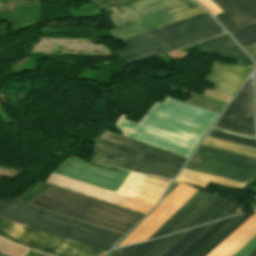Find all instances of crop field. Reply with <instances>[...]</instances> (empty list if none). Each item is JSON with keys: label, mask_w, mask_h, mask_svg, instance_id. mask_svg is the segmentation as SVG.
Returning a JSON list of instances; mask_svg holds the SVG:
<instances>
[{"label": "crop field", "mask_w": 256, "mask_h": 256, "mask_svg": "<svg viewBox=\"0 0 256 256\" xmlns=\"http://www.w3.org/2000/svg\"><path fill=\"white\" fill-rule=\"evenodd\" d=\"M47 182L147 214L153 205L51 173Z\"/></svg>", "instance_id": "28ad6ade"}, {"label": "crop field", "mask_w": 256, "mask_h": 256, "mask_svg": "<svg viewBox=\"0 0 256 256\" xmlns=\"http://www.w3.org/2000/svg\"><path fill=\"white\" fill-rule=\"evenodd\" d=\"M248 256H256V248Z\"/></svg>", "instance_id": "bd1437ed"}, {"label": "crop field", "mask_w": 256, "mask_h": 256, "mask_svg": "<svg viewBox=\"0 0 256 256\" xmlns=\"http://www.w3.org/2000/svg\"><path fill=\"white\" fill-rule=\"evenodd\" d=\"M245 48L256 42V22L232 34Z\"/></svg>", "instance_id": "dafd665d"}, {"label": "crop field", "mask_w": 256, "mask_h": 256, "mask_svg": "<svg viewBox=\"0 0 256 256\" xmlns=\"http://www.w3.org/2000/svg\"><path fill=\"white\" fill-rule=\"evenodd\" d=\"M256 223V213L251 216L244 224H242L236 231H234L227 239H225L218 247H216L207 256H218L229 245H231L238 237H240L247 229Z\"/></svg>", "instance_id": "214f88e0"}, {"label": "crop field", "mask_w": 256, "mask_h": 256, "mask_svg": "<svg viewBox=\"0 0 256 256\" xmlns=\"http://www.w3.org/2000/svg\"><path fill=\"white\" fill-rule=\"evenodd\" d=\"M163 239V238H162ZM162 239H157L142 244L117 249L110 256H143Z\"/></svg>", "instance_id": "92a150f3"}, {"label": "crop field", "mask_w": 256, "mask_h": 256, "mask_svg": "<svg viewBox=\"0 0 256 256\" xmlns=\"http://www.w3.org/2000/svg\"><path fill=\"white\" fill-rule=\"evenodd\" d=\"M211 195L198 190L150 239L175 232Z\"/></svg>", "instance_id": "cbeb9de0"}, {"label": "crop field", "mask_w": 256, "mask_h": 256, "mask_svg": "<svg viewBox=\"0 0 256 256\" xmlns=\"http://www.w3.org/2000/svg\"><path fill=\"white\" fill-rule=\"evenodd\" d=\"M185 168L245 183L256 180V159L203 146Z\"/></svg>", "instance_id": "d8731c3e"}, {"label": "crop field", "mask_w": 256, "mask_h": 256, "mask_svg": "<svg viewBox=\"0 0 256 256\" xmlns=\"http://www.w3.org/2000/svg\"><path fill=\"white\" fill-rule=\"evenodd\" d=\"M219 21L227 28V30L232 33L240 29L233 21H231L223 12L216 15Z\"/></svg>", "instance_id": "eef30255"}, {"label": "crop field", "mask_w": 256, "mask_h": 256, "mask_svg": "<svg viewBox=\"0 0 256 256\" xmlns=\"http://www.w3.org/2000/svg\"><path fill=\"white\" fill-rule=\"evenodd\" d=\"M250 216L251 215H241L232 218L214 235H212L205 243H203L196 251H194L190 256H206L211 250H213L220 242H222L229 234H231Z\"/></svg>", "instance_id": "733c2abd"}, {"label": "crop field", "mask_w": 256, "mask_h": 256, "mask_svg": "<svg viewBox=\"0 0 256 256\" xmlns=\"http://www.w3.org/2000/svg\"><path fill=\"white\" fill-rule=\"evenodd\" d=\"M230 219L217 222L180 256H189L194 250H196L203 242H205L212 234H214L220 227H222Z\"/></svg>", "instance_id": "a9b5d70f"}, {"label": "crop field", "mask_w": 256, "mask_h": 256, "mask_svg": "<svg viewBox=\"0 0 256 256\" xmlns=\"http://www.w3.org/2000/svg\"><path fill=\"white\" fill-rule=\"evenodd\" d=\"M238 206L239 204L212 195L177 231L229 216Z\"/></svg>", "instance_id": "22f410ed"}, {"label": "crop field", "mask_w": 256, "mask_h": 256, "mask_svg": "<svg viewBox=\"0 0 256 256\" xmlns=\"http://www.w3.org/2000/svg\"><path fill=\"white\" fill-rule=\"evenodd\" d=\"M196 191L180 183L119 246L149 239Z\"/></svg>", "instance_id": "5a996713"}, {"label": "crop field", "mask_w": 256, "mask_h": 256, "mask_svg": "<svg viewBox=\"0 0 256 256\" xmlns=\"http://www.w3.org/2000/svg\"><path fill=\"white\" fill-rule=\"evenodd\" d=\"M54 173L114 192L129 174L128 171L106 169L72 157L57 167ZM167 186L168 183L130 172L117 193L155 205Z\"/></svg>", "instance_id": "412701ff"}, {"label": "crop field", "mask_w": 256, "mask_h": 256, "mask_svg": "<svg viewBox=\"0 0 256 256\" xmlns=\"http://www.w3.org/2000/svg\"><path fill=\"white\" fill-rule=\"evenodd\" d=\"M43 195L78 205L99 213L136 224L144 215L97 201L70 191L52 186ZM39 196L30 204L77 218L107 229L125 234L134 224L99 214L46 196Z\"/></svg>", "instance_id": "f4fd0767"}, {"label": "crop field", "mask_w": 256, "mask_h": 256, "mask_svg": "<svg viewBox=\"0 0 256 256\" xmlns=\"http://www.w3.org/2000/svg\"><path fill=\"white\" fill-rule=\"evenodd\" d=\"M255 234H256V227L252 226L247 232H245L239 239H237L231 246H229L219 256H232L247 241H249Z\"/></svg>", "instance_id": "00972430"}, {"label": "crop field", "mask_w": 256, "mask_h": 256, "mask_svg": "<svg viewBox=\"0 0 256 256\" xmlns=\"http://www.w3.org/2000/svg\"><path fill=\"white\" fill-rule=\"evenodd\" d=\"M224 33L206 13L124 40L128 47L116 50L128 62L149 59Z\"/></svg>", "instance_id": "8a807250"}, {"label": "crop field", "mask_w": 256, "mask_h": 256, "mask_svg": "<svg viewBox=\"0 0 256 256\" xmlns=\"http://www.w3.org/2000/svg\"><path fill=\"white\" fill-rule=\"evenodd\" d=\"M240 28L256 21L255 0H211Z\"/></svg>", "instance_id": "5142ce71"}, {"label": "crop field", "mask_w": 256, "mask_h": 256, "mask_svg": "<svg viewBox=\"0 0 256 256\" xmlns=\"http://www.w3.org/2000/svg\"><path fill=\"white\" fill-rule=\"evenodd\" d=\"M252 56L253 58L256 60V43L245 48Z\"/></svg>", "instance_id": "750c4746"}, {"label": "crop field", "mask_w": 256, "mask_h": 256, "mask_svg": "<svg viewBox=\"0 0 256 256\" xmlns=\"http://www.w3.org/2000/svg\"><path fill=\"white\" fill-rule=\"evenodd\" d=\"M203 146L223 150V151H228L244 156H249L256 158V148L252 147H247L239 144H234L222 140H217L213 138L206 137L204 142L202 143Z\"/></svg>", "instance_id": "4a817a6b"}, {"label": "crop field", "mask_w": 256, "mask_h": 256, "mask_svg": "<svg viewBox=\"0 0 256 256\" xmlns=\"http://www.w3.org/2000/svg\"><path fill=\"white\" fill-rule=\"evenodd\" d=\"M93 161L172 179L186 158L106 132L96 142Z\"/></svg>", "instance_id": "34b2d1b8"}, {"label": "crop field", "mask_w": 256, "mask_h": 256, "mask_svg": "<svg viewBox=\"0 0 256 256\" xmlns=\"http://www.w3.org/2000/svg\"><path fill=\"white\" fill-rule=\"evenodd\" d=\"M0 217L106 251L122 236L15 200L0 201Z\"/></svg>", "instance_id": "ac0d7876"}, {"label": "crop field", "mask_w": 256, "mask_h": 256, "mask_svg": "<svg viewBox=\"0 0 256 256\" xmlns=\"http://www.w3.org/2000/svg\"><path fill=\"white\" fill-rule=\"evenodd\" d=\"M186 232L176 234L164 238L153 249H151L145 256H160L166 249H168L175 241H177Z\"/></svg>", "instance_id": "4177f3b9"}, {"label": "crop field", "mask_w": 256, "mask_h": 256, "mask_svg": "<svg viewBox=\"0 0 256 256\" xmlns=\"http://www.w3.org/2000/svg\"><path fill=\"white\" fill-rule=\"evenodd\" d=\"M184 1L187 0H141L120 8L124 13L117 15V18L123 23ZM201 12L204 10L190 0L123 23V27L111 29V32L118 41Z\"/></svg>", "instance_id": "dd49c442"}, {"label": "crop field", "mask_w": 256, "mask_h": 256, "mask_svg": "<svg viewBox=\"0 0 256 256\" xmlns=\"http://www.w3.org/2000/svg\"><path fill=\"white\" fill-rule=\"evenodd\" d=\"M215 223H211L207 226L191 230L171 249H169L163 256H179L184 250H186L193 242H195L203 233H205Z\"/></svg>", "instance_id": "bc2a9ffb"}, {"label": "crop field", "mask_w": 256, "mask_h": 256, "mask_svg": "<svg viewBox=\"0 0 256 256\" xmlns=\"http://www.w3.org/2000/svg\"><path fill=\"white\" fill-rule=\"evenodd\" d=\"M211 51L238 60L241 64L251 65V60L246 54L229 38L227 34L201 43Z\"/></svg>", "instance_id": "d9b57169"}, {"label": "crop field", "mask_w": 256, "mask_h": 256, "mask_svg": "<svg viewBox=\"0 0 256 256\" xmlns=\"http://www.w3.org/2000/svg\"><path fill=\"white\" fill-rule=\"evenodd\" d=\"M256 247V237L241 249L235 256H247Z\"/></svg>", "instance_id": "ae1a2a85"}, {"label": "crop field", "mask_w": 256, "mask_h": 256, "mask_svg": "<svg viewBox=\"0 0 256 256\" xmlns=\"http://www.w3.org/2000/svg\"><path fill=\"white\" fill-rule=\"evenodd\" d=\"M0 236L58 256H104L106 251L0 218Z\"/></svg>", "instance_id": "e52e79f7"}, {"label": "crop field", "mask_w": 256, "mask_h": 256, "mask_svg": "<svg viewBox=\"0 0 256 256\" xmlns=\"http://www.w3.org/2000/svg\"><path fill=\"white\" fill-rule=\"evenodd\" d=\"M250 70L239 65L215 63L211 73L205 78L216 84V90L233 96Z\"/></svg>", "instance_id": "d1516ede"}, {"label": "crop field", "mask_w": 256, "mask_h": 256, "mask_svg": "<svg viewBox=\"0 0 256 256\" xmlns=\"http://www.w3.org/2000/svg\"><path fill=\"white\" fill-rule=\"evenodd\" d=\"M201 4H203L209 11H211L214 15L222 12L215 4H213L210 0H198Z\"/></svg>", "instance_id": "d3111659"}, {"label": "crop field", "mask_w": 256, "mask_h": 256, "mask_svg": "<svg viewBox=\"0 0 256 256\" xmlns=\"http://www.w3.org/2000/svg\"><path fill=\"white\" fill-rule=\"evenodd\" d=\"M209 136L256 147V141H254V140H250V139H246V138H242V137H238V136H234V135H230V134H226V133H222V132H218V131H214V130H212V132L209 134Z\"/></svg>", "instance_id": "730fd06b"}, {"label": "crop field", "mask_w": 256, "mask_h": 256, "mask_svg": "<svg viewBox=\"0 0 256 256\" xmlns=\"http://www.w3.org/2000/svg\"><path fill=\"white\" fill-rule=\"evenodd\" d=\"M215 127L255 137L252 124V82H246Z\"/></svg>", "instance_id": "3316defc"}]
</instances>
